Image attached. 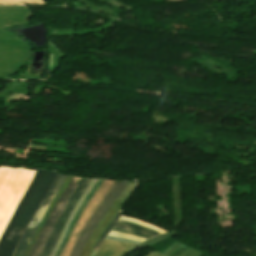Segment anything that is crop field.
Masks as SVG:
<instances>
[{"label": "crop field", "instance_id": "1", "mask_svg": "<svg viewBox=\"0 0 256 256\" xmlns=\"http://www.w3.org/2000/svg\"><path fill=\"white\" fill-rule=\"evenodd\" d=\"M56 172L37 170L27 192L0 239V256H13L14 251Z\"/></svg>", "mask_w": 256, "mask_h": 256}, {"label": "crop field", "instance_id": "2", "mask_svg": "<svg viewBox=\"0 0 256 256\" xmlns=\"http://www.w3.org/2000/svg\"><path fill=\"white\" fill-rule=\"evenodd\" d=\"M36 170L0 167V237Z\"/></svg>", "mask_w": 256, "mask_h": 256}, {"label": "crop field", "instance_id": "3", "mask_svg": "<svg viewBox=\"0 0 256 256\" xmlns=\"http://www.w3.org/2000/svg\"><path fill=\"white\" fill-rule=\"evenodd\" d=\"M127 183H115L106 198L103 200L91 220L88 222L86 227L84 228L79 240L77 241L75 247L73 248L70 256H79L82 248L84 247L85 243L89 239L90 235L97 227L99 222L101 221L102 217L109 209V207L116 201V199L121 194L123 188L126 186Z\"/></svg>", "mask_w": 256, "mask_h": 256}, {"label": "crop field", "instance_id": "4", "mask_svg": "<svg viewBox=\"0 0 256 256\" xmlns=\"http://www.w3.org/2000/svg\"><path fill=\"white\" fill-rule=\"evenodd\" d=\"M80 178L73 177L70 184L57 201L55 206L53 207L42 231L40 232L38 238L36 239L29 256H38L41 248L43 247L45 241L47 240L48 236L50 235L56 221L58 220L59 216L61 215L70 195L74 192Z\"/></svg>", "mask_w": 256, "mask_h": 256}, {"label": "crop field", "instance_id": "5", "mask_svg": "<svg viewBox=\"0 0 256 256\" xmlns=\"http://www.w3.org/2000/svg\"><path fill=\"white\" fill-rule=\"evenodd\" d=\"M65 178H66V176H63V175L57 173L49 191L47 192L46 196L44 197L43 201L41 202L39 208H48L49 204L53 200L54 196L56 195L57 191L59 190V188L62 185ZM45 211H46V209H37L30 224L28 225V227H37ZM35 230H36V228H27L26 229L14 255H19V256L24 255V252H25Z\"/></svg>", "mask_w": 256, "mask_h": 256}, {"label": "crop field", "instance_id": "6", "mask_svg": "<svg viewBox=\"0 0 256 256\" xmlns=\"http://www.w3.org/2000/svg\"><path fill=\"white\" fill-rule=\"evenodd\" d=\"M139 182L134 183H128L125 187L123 193L120 195V197L117 199V201L110 207V209L105 214L104 218L98 225V227L95 229L93 234L91 235L90 239L86 243L82 253L80 256H89L91 250L105 231L106 227L110 223V221L113 219L115 214L118 212L120 207L124 204V202L127 200V198L130 196V194L133 192V190L136 188ZM122 208V207H121ZM120 211V210H119Z\"/></svg>", "mask_w": 256, "mask_h": 256}, {"label": "crop field", "instance_id": "7", "mask_svg": "<svg viewBox=\"0 0 256 256\" xmlns=\"http://www.w3.org/2000/svg\"><path fill=\"white\" fill-rule=\"evenodd\" d=\"M91 182L90 179L82 178L81 182L79 183L78 187L76 188L74 194L71 196L65 210L63 211L62 215L60 216L54 230L52 231L51 235L49 236L47 242L45 243L44 247L42 248L39 256H48L51 252L53 246L55 245L70 213L72 212L73 208L75 207L76 203L78 202L81 195L84 193L85 189Z\"/></svg>", "mask_w": 256, "mask_h": 256}, {"label": "crop field", "instance_id": "8", "mask_svg": "<svg viewBox=\"0 0 256 256\" xmlns=\"http://www.w3.org/2000/svg\"><path fill=\"white\" fill-rule=\"evenodd\" d=\"M133 244L104 240L96 256H122Z\"/></svg>", "mask_w": 256, "mask_h": 256}, {"label": "crop field", "instance_id": "9", "mask_svg": "<svg viewBox=\"0 0 256 256\" xmlns=\"http://www.w3.org/2000/svg\"><path fill=\"white\" fill-rule=\"evenodd\" d=\"M123 213L122 210H120L116 216L114 217V219L111 221V223L109 224V226L107 227L106 231L104 232V234L102 235V237L100 238V240L98 241V243L96 244V246L94 247L95 250L98 249L100 243L102 242V240L104 239V237L106 236V234L110 231V229L112 227H115V228H120V229H124V230H129V231H133V232H136V233H140V234H143V235H147V236H156L148 231H145L143 229H140V228H136V227H133V226H129V225H126V224H122V223H118L116 222L121 214Z\"/></svg>", "mask_w": 256, "mask_h": 256}, {"label": "crop field", "instance_id": "10", "mask_svg": "<svg viewBox=\"0 0 256 256\" xmlns=\"http://www.w3.org/2000/svg\"><path fill=\"white\" fill-rule=\"evenodd\" d=\"M72 177H73V176L68 175V177H67V179L65 180L64 184H63L62 187L60 188L59 192H58L57 195L55 196V198H54V200L52 201V203L50 204L49 208L47 209V211H46V213H45V215H44V217H43V219H42L40 225L38 226V228H37V230H36V232H35V234H34L32 240H31V242H30V244H29V246H28V248H27V250H26V252H25V256L28 255V252H29L31 246H32V244L34 243V241H35L37 235L39 234V232H40V230H41V228H42V226H43V224H44V222H45L47 216L49 215V213H50L52 207L54 206V204L56 203V201L58 200V198L60 197V195L62 194V192L64 191V189L66 188V186L68 185V183L70 182V180L72 179Z\"/></svg>", "mask_w": 256, "mask_h": 256}, {"label": "crop field", "instance_id": "11", "mask_svg": "<svg viewBox=\"0 0 256 256\" xmlns=\"http://www.w3.org/2000/svg\"><path fill=\"white\" fill-rule=\"evenodd\" d=\"M120 219H121V220L128 221V222H132V223H135V224H138V225H140V226H144V227L151 228V229L157 231V232L160 233V234H163V233L166 232V231H164V230H162V229H160V228H158V227H156V226H154V225H151V224L146 223V222L141 221V220L133 219V218L126 217V216H123V215L121 216Z\"/></svg>", "mask_w": 256, "mask_h": 256}, {"label": "crop field", "instance_id": "12", "mask_svg": "<svg viewBox=\"0 0 256 256\" xmlns=\"http://www.w3.org/2000/svg\"><path fill=\"white\" fill-rule=\"evenodd\" d=\"M108 235L121 237V238L129 239V240H133V241H139V242H143V241L147 240V239H144V238H141L138 236L124 234V233H120V232H116V231H112V230L110 231V233Z\"/></svg>", "mask_w": 256, "mask_h": 256}, {"label": "crop field", "instance_id": "13", "mask_svg": "<svg viewBox=\"0 0 256 256\" xmlns=\"http://www.w3.org/2000/svg\"><path fill=\"white\" fill-rule=\"evenodd\" d=\"M112 230H116V231H120V232H124V233H129V234H134V235H138V236L146 237V238H148V239L150 238V237H147V236H143V235H140V234H136V233H133V232L124 231V230H120V229L112 228Z\"/></svg>", "mask_w": 256, "mask_h": 256}, {"label": "crop field", "instance_id": "14", "mask_svg": "<svg viewBox=\"0 0 256 256\" xmlns=\"http://www.w3.org/2000/svg\"><path fill=\"white\" fill-rule=\"evenodd\" d=\"M118 222H122V223L130 224V225H133V226H137V225H135V224L128 223V222H124V221H120V220H118ZM137 227H140V226H137ZM140 228H143V227H140ZM143 229L148 230V231H150V232H153V233H155V234L159 235L158 233H156V232H154V231H152V230H150V229H147V228H143Z\"/></svg>", "mask_w": 256, "mask_h": 256}]
</instances>
